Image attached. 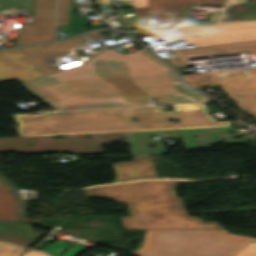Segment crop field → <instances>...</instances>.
Segmentation results:
<instances>
[{"instance_id":"cbeb9de0","label":"crop field","mask_w":256,"mask_h":256,"mask_svg":"<svg viewBox=\"0 0 256 256\" xmlns=\"http://www.w3.org/2000/svg\"><path fill=\"white\" fill-rule=\"evenodd\" d=\"M119 182L157 178L148 156L135 157L134 162L113 164Z\"/></svg>"},{"instance_id":"733c2abd","label":"crop field","mask_w":256,"mask_h":256,"mask_svg":"<svg viewBox=\"0 0 256 256\" xmlns=\"http://www.w3.org/2000/svg\"><path fill=\"white\" fill-rule=\"evenodd\" d=\"M74 9H76V6L71 1V9L67 31L68 36L79 34L87 30V17H74Z\"/></svg>"},{"instance_id":"ac0d7876","label":"crop field","mask_w":256,"mask_h":256,"mask_svg":"<svg viewBox=\"0 0 256 256\" xmlns=\"http://www.w3.org/2000/svg\"><path fill=\"white\" fill-rule=\"evenodd\" d=\"M173 106L175 111L169 112H160L157 106H149L14 117L22 136L230 126L229 122L217 123L207 113L204 103ZM130 117L139 121L134 122ZM168 118H179L181 123H171Z\"/></svg>"},{"instance_id":"ae1a2a85","label":"crop field","mask_w":256,"mask_h":256,"mask_svg":"<svg viewBox=\"0 0 256 256\" xmlns=\"http://www.w3.org/2000/svg\"><path fill=\"white\" fill-rule=\"evenodd\" d=\"M23 256H46L42 253L28 250Z\"/></svg>"},{"instance_id":"8a807250","label":"crop field","mask_w":256,"mask_h":256,"mask_svg":"<svg viewBox=\"0 0 256 256\" xmlns=\"http://www.w3.org/2000/svg\"><path fill=\"white\" fill-rule=\"evenodd\" d=\"M23 84L57 111L143 105L152 98L160 104L211 101L144 49L127 55L105 49L80 66Z\"/></svg>"},{"instance_id":"120bbe31","label":"crop field","mask_w":256,"mask_h":256,"mask_svg":"<svg viewBox=\"0 0 256 256\" xmlns=\"http://www.w3.org/2000/svg\"><path fill=\"white\" fill-rule=\"evenodd\" d=\"M46 102V101H45ZM48 103V102H47ZM50 104V103H49ZM50 105H52V104H50ZM53 106V105H52ZM54 107V106H53Z\"/></svg>"},{"instance_id":"bc2a9ffb","label":"crop field","mask_w":256,"mask_h":256,"mask_svg":"<svg viewBox=\"0 0 256 256\" xmlns=\"http://www.w3.org/2000/svg\"><path fill=\"white\" fill-rule=\"evenodd\" d=\"M26 249L0 242V256H20Z\"/></svg>"},{"instance_id":"1d83c4d3","label":"crop field","mask_w":256,"mask_h":256,"mask_svg":"<svg viewBox=\"0 0 256 256\" xmlns=\"http://www.w3.org/2000/svg\"><path fill=\"white\" fill-rule=\"evenodd\" d=\"M128 207H132V208H133V206H132V205H130V204L128 205Z\"/></svg>"},{"instance_id":"d8731c3e","label":"crop field","mask_w":256,"mask_h":256,"mask_svg":"<svg viewBox=\"0 0 256 256\" xmlns=\"http://www.w3.org/2000/svg\"><path fill=\"white\" fill-rule=\"evenodd\" d=\"M181 40L193 43L195 47L256 40V22L216 25L171 31Z\"/></svg>"},{"instance_id":"730fd06b","label":"crop field","mask_w":256,"mask_h":256,"mask_svg":"<svg viewBox=\"0 0 256 256\" xmlns=\"http://www.w3.org/2000/svg\"><path fill=\"white\" fill-rule=\"evenodd\" d=\"M221 13H222V11H214L211 21L195 23L194 25H201V24H206V23H217Z\"/></svg>"},{"instance_id":"4a817a6b","label":"crop field","mask_w":256,"mask_h":256,"mask_svg":"<svg viewBox=\"0 0 256 256\" xmlns=\"http://www.w3.org/2000/svg\"><path fill=\"white\" fill-rule=\"evenodd\" d=\"M231 130L236 135L230 136L229 133H226L225 131ZM179 135H185V134H197V133H210V132H220L223 139H229L236 136H246L248 133L240 132L235 130L233 127H218V128H204V129H190V130H177Z\"/></svg>"},{"instance_id":"00972430","label":"crop field","mask_w":256,"mask_h":256,"mask_svg":"<svg viewBox=\"0 0 256 256\" xmlns=\"http://www.w3.org/2000/svg\"><path fill=\"white\" fill-rule=\"evenodd\" d=\"M234 104L241 110L248 112L256 117V101H251V102L235 101Z\"/></svg>"},{"instance_id":"f4fd0767","label":"crop field","mask_w":256,"mask_h":256,"mask_svg":"<svg viewBox=\"0 0 256 256\" xmlns=\"http://www.w3.org/2000/svg\"><path fill=\"white\" fill-rule=\"evenodd\" d=\"M81 36L55 43L41 44L0 51V82L16 79L19 82L30 80L56 71L47 58L63 55L85 42Z\"/></svg>"},{"instance_id":"dd49c442","label":"crop field","mask_w":256,"mask_h":256,"mask_svg":"<svg viewBox=\"0 0 256 256\" xmlns=\"http://www.w3.org/2000/svg\"><path fill=\"white\" fill-rule=\"evenodd\" d=\"M86 135L91 137L86 139ZM121 136H125V132L63 135V139L52 136L1 138L0 152L103 154L101 145H110V141H125L120 140Z\"/></svg>"},{"instance_id":"750c4746","label":"crop field","mask_w":256,"mask_h":256,"mask_svg":"<svg viewBox=\"0 0 256 256\" xmlns=\"http://www.w3.org/2000/svg\"><path fill=\"white\" fill-rule=\"evenodd\" d=\"M112 0H97L96 3H100V4H105L107 6H109V4L111 3Z\"/></svg>"},{"instance_id":"28ad6ade","label":"crop field","mask_w":256,"mask_h":256,"mask_svg":"<svg viewBox=\"0 0 256 256\" xmlns=\"http://www.w3.org/2000/svg\"><path fill=\"white\" fill-rule=\"evenodd\" d=\"M241 51L256 53V41L241 42L212 47L176 50L173 51L174 56L173 58L169 59V61H171L176 67L191 66L193 65V63L190 60H188L185 56L227 54Z\"/></svg>"},{"instance_id":"d9b57169","label":"crop field","mask_w":256,"mask_h":256,"mask_svg":"<svg viewBox=\"0 0 256 256\" xmlns=\"http://www.w3.org/2000/svg\"><path fill=\"white\" fill-rule=\"evenodd\" d=\"M256 19V3L244 2L237 5L227 7L222 21L233 20H255Z\"/></svg>"},{"instance_id":"4177f3b9","label":"crop field","mask_w":256,"mask_h":256,"mask_svg":"<svg viewBox=\"0 0 256 256\" xmlns=\"http://www.w3.org/2000/svg\"><path fill=\"white\" fill-rule=\"evenodd\" d=\"M237 256H256V242L250 243L243 251Z\"/></svg>"},{"instance_id":"e52e79f7","label":"crop field","mask_w":256,"mask_h":256,"mask_svg":"<svg viewBox=\"0 0 256 256\" xmlns=\"http://www.w3.org/2000/svg\"><path fill=\"white\" fill-rule=\"evenodd\" d=\"M182 77L196 88L218 85L230 99H256V69L191 74Z\"/></svg>"},{"instance_id":"d3111659","label":"crop field","mask_w":256,"mask_h":256,"mask_svg":"<svg viewBox=\"0 0 256 256\" xmlns=\"http://www.w3.org/2000/svg\"><path fill=\"white\" fill-rule=\"evenodd\" d=\"M89 38H91V39H93V40H95V39H100V38H102L97 32H93V33H91V34H88L87 35Z\"/></svg>"},{"instance_id":"5a996713","label":"crop field","mask_w":256,"mask_h":256,"mask_svg":"<svg viewBox=\"0 0 256 256\" xmlns=\"http://www.w3.org/2000/svg\"><path fill=\"white\" fill-rule=\"evenodd\" d=\"M227 0H148L147 30L187 27L193 4L224 6Z\"/></svg>"},{"instance_id":"dafd665d","label":"crop field","mask_w":256,"mask_h":256,"mask_svg":"<svg viewBox=\"0 0 256 256\" xmlns=\"http://www.w3.org/2000/svg\"><path fill=\"white\" fill-rule=\"evenodd\" d=\"M147 8H134V22L136 26L146 25Z\"/></svg>"},{"instance_id":"214f88e0","label":"crop field","mask_w":256,"mask_h":256,"mask_svg":"<svg viewBox=\"0 0 256 256\" xmlns=\"http://www.w3.org/2000/svg\"><path fill=\"white\" fill-rule=\"evenodd\" d=\"M70 0H59L58 25H67Z\"/></svg>"},{"instance_id":"3316defc","label":"crop field","mask_w":256,"mask_h":256,"mask_svg":"<svg viewBox=\"0 0 256 256\" xmlns=\"http://www.w3.org/2000/svg\"><path fill=\"white\" fill-rule=\"evenodd\" d=\"M56 0H34V24H21L17 45L54 40Z\"/></svg>"},{"instance_id":"92a150f3","label":"crop field","mask_w":256,"mask_h":256,"mask_svg":"<svg viewBox=\"0 0 256 256\" xmlns=\"http://www.w3.org/2000/svg\"><path fill=\"white\" fill-rule=\"evenodd\" d=\"M61 240L53 243L47 244L41 251H44L52 256H57L61 251H63L70 243L69 242H60Z\"/></svg>"},{"instance_id":"5142ce71","label":"crop field","mask_w":256,"mask_h":256,"mask_svg":"<svg viewBox=\"0 0 256 256\" xmlns=\"http://www.w3.org/2000/svg\"><path fill=\"white\" fill-rule=\"evenodd\" d=\"M32 228L31 225L0 219V240L30 247L42 237Z\"/></svg>"},{"instance_id":"eef30255","label":"crop field","mask_w":256,"mask_h":256,"mask_svg":"<svg viewBox=\"0 0 256 256\" xmlns=\"http://www.w3.org/2000/svg\"><path fill=\"white\" fill-rule=\"evenodd\" d=\"M134 2V7H147V0H120Z\"/></svg>"},{"instance_id":"bd1437ed","label":"crop field","mask_w":256,"mask_h":256,"mask_svg":"<svg viewBox=\"0 0 256 256\" xmlns=\"http://www.w3.org/2000/svg\"><path fill=\"white\" fill-rule=\"evenodd\" d=\"M237 1H241V0H230L229 3H233V2H237Z\"/></svg>"},{"instance_id":"d1516ede","label":"crop field","mask_w":256,"mask_h":256,"mask_svg":"<svg viewBox=\"0 0 256 256\" xmlns=\"http://www.w3.org/2000/svg\"><path fill=\"white\" fill-rule=\"evenodd\" d=\"M151 135H158L159 138L178 137L176 130L126 132V143L130 144L131 156L165 151L162 141L154 140ZM147 144L158 148L147 149Z\"/></svg>"},{"instance_id":"412701ff","label":"crop field","mask_w":256,"mask_h":256,"mask_svg":"<svg viewBox=\"0 0 256 256\" xmlns=\"http://www.w3.org/2000/svg\"><path fill=\"white\" fill-rule=\"evenodd\" d=\"M256 238L226 230H146L136 256H236Z\"/></svg>"},{"instance_id":"34b2d1b8","label":"crop field","mask_w":256,"mask_h":256,"mask_svg":"<svg viewBox=\"0 0 256 256\" xmlns=\"http://www.w3.org/2000/svg\"><path fill=\"white\" fill-rule=\"evenodd\" d=\"M179 180H148L87 188L89 196H107L133 204L121 217L125 229H222L214 222L187 217L174 187Z\"/></svg>"},{"instance_id":"22f410ed","label":"crop field","mask_w":256,"mask_h":256,"mask_svg":"<svg viewBox=\"0 0 256 256\" xmlns=\"http://www.w3.org/2000/svg\"><path fill=\"white\" fill-rule=\"evenodd\" d=\"M25 204L13 185L0 176V218L26 220L22 215Z\"/></svg>"},{"instance_id":"a9b5d70f","label":"crop field","mask_w":256,"mask_h":256,"mask_svg":"<svg viewBox=\"0 0 256 256\" xmlns=\"http://www.w3.org/2000/svg\"><path fill=\"white\" fill-rule=\"evenodd\" d=\"M84 248H85L84 245L75 243L67 251H65L61 256H76Z\"/></svg>"}]
</instances>
